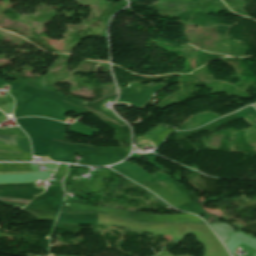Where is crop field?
I'll list each match as a JSON object with an SVG mask.
<instances>
[{
    "label": "crop field",
    "instance_id": "ac0d7876",
    "mask_svg": "<svg viewBox=\"0 0 256 256\" xmlns=\"http://www.w3.org/2000/svg\"><path fill=\"white\" fill-rule=\"evenodd\" d=\"M237 112L241 114L249 123L256 125V121L254 120L256 119V110L252 106L241 109ZM248 114H251L252 117H249Z\"/></svg>",
    "mask_w": 256,
    "mask_h": 256
},
{
    "label": "crop field",
    "instance_id": "34b2d1b8",
    "mask_svg": "<svg viewBox=\"0 0 256 256\" xmlns=\"http://www.w3.org/2000/svg\"><path fill=\"white\" fill-rule=\"evenodd\" d=\"M0 34L5 35V36H7V37H10V38H12V39H14V40H16V39L18 38V36L9 34V33L5 32V31H1V30H0Z\"/></svg>",
    "mask_w": 256,
    "mask_h": 256
},
{
    "label": "crop field",
    "instance_id": "412701ff",
    "mask_svg": "<svg viewBox=\"0 0 256 256\" xmlns=\"http://www.w3.org/2000/svg\"><path fill=\"white\" fill-rule=\"evenodd\" d=\"M228 27L227 26H219L218 33H226Z\"/></svg>",
    "mask_w": 256,
    "mask_h": 256
},
{
    "label": "crop field",
    "instance_id": "8a807250",
    "mask_svg": "<svg viewBox=\"0 0 256 256\" xmlns=\"http://www.w3.org/2000/svg\"><path fill=\"white\" fill-rule=\"evenodd\" d=\"M44 190H37L33 183L0 185V196L27 199L41 194ZM0 197V200L30 203L27 200L11 199Z\"/></svg>",
    "mask_w": 256,
    "mask_h": 256
}]
</instances>
